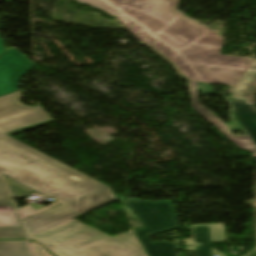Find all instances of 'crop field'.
I'll return each mask as SVG.
<instances>
[{"mask_svg":"<svg viewBox=\"0 0 256 256\" xmlns=\"http://www.w3.org/2000/svg\"><path fill=\"white\" fill-rule=\"evenodd\" d=\"M30 243L34 249L36 256H51L43 247L39 246L32 240H30Z\"/></svg>","mask_w":256,"mask_h":256,"instance_id":"crop-field-13","label":"crop field"},{"mask_svg":"<svg viewBox=\"0 0 256 256\" xmlns=\"http://www.w3.org/2000/svg\"><path fill=\"white\" fill-rule=\"evenodd\" d=\"M0 97V172L60 205L21 221L28 236L116 201L110 187L93 180L8 135L53 122L40 107Z\"/></svg>","mask_w":256,"mask_h":256,"instance_id":"crop-field-1","label":"crop field"},{"mask_svg":"<svg viewBox=\"0 0 256 256\" xmlns=\"http://www.w3.org/2000/svg\"><path fill=\"white\" fill-rule=\"evenodd\" d=\"M255 76L256 59L252 61L238 86L230 89L232 95L225 97L226 101L230 105V118L233 121L230 124L223 123L219 118L198 102L197 96L199 95L197 91H201L203 94L212 92L208 84L188 82L193 109L233 141L237 146L252 153H256V148L248 135L235 137L229 131L246 128L256 143V108L254 105H246L241 97L250 87ZM231 115H233V117H231Z\"/></svg>","mask_w":256,"mask_h":256,"instance_id":"crop-field-5","label":"crop field"},{"mask_svg":"<svg viewBox=\"0 0 256 256\" xmlns=\"http://www.w3.org/2000/svg\"><path fill=\"white\" fill-rule=\"evenodd\" d=\"M145 228L135 230L149 256H177L179 248L171 242L152 243L148 236L179 228L169 201L147 202L136 198L123 201ZM226 241L224 224L192 225V239H184L186 250L197 256H224L211 248V242Z\"/></svg>","mask_w":256,"mask_h":256,"instance_id":"crop-field-3","label":"crop field"},{"mask_svg":"<svg viewBox=\"0 0 256 256\" xmlns=\"http://www.w3.org/2000/svg\"><path fill=\"white\" fill-rule=\"evenodd\" d=\"M81 1V0H80ZM84 1V0H83Z\"/></svg>","mask_w":256,"mask_h":256,"instance_id":"crop-field-15","label":"crop field"},{"mask_svg":"<svg viewBox=\"0 0 256 256\" xmlns=\"http://www.w3.org/2000/svg\"><path fill=\"white\" fill-rule=\"evenodd\" d=\"M56 204H58V203L56 202V203H54V204H52V205H50V206H48V207H46V208H43V209H41V210H38V211L34 210V209H33L32 207H30V206L25 207V208H22V209H19L18 211H19L20 219H23V218L28 217V216H30V215H33V214H35V213L41 212V211H43V210H46V209H48V208H50V207H52V206H54V205H56ZM30 217H31V216H30Z\"/></svg>","mask_w":256,"mask_h":256,"instance_id":"crop-field-12","label":"crop field"},{"mask_svg":"<svg viewBox=\"0 0 256 256\" xmlns=\"http://www.w3.org/2000/svg\"><path fill=\"white\" fill-rule=\"evenodd\" d=\"M0 256H33L26 240L0 241Z\"/></svg>","mask_w":256,"mask_h":256,"instance_id":"crop-field-7","label":"crop field"},{"mask_svg":"<svg viewBox=\"0 0 256 256\" xmlns=\"http://www.w3.org/2000/svg\"><path fill=\"white\" fill-rule=\"evenodd\" d=\"M113 12L190 81L234 86L252 59L219 55L223 38L176 12L178 0H86Z\"/></svg>","mask_w":256,"mask_h":256,"instance_id":"crop-field-2","label":"crop field"},{"mask_svg":"<svg viewBox=\"0 0 256 256\" xmlns=\"http://www.w3.org/2000/svg\"><path fill=\"white\" fill-rule=\"evenodd\" d=\"M0 212H15L14 206L8 196V193L0 179Z\"/></svg>","mask_w":256,"mask_h":256,"instance_id":"crop-field-9","label":"crop field"},{"mask_svg":"<svg viewBox=\"0 0 256 256\" xmlns=\"http://www.w3.org/2000/svg\"><path fill=\"white\" fill-rule=\"evenodd\" d=\"M0 1H2V0H0ZM4 49H5V40L1 39V37H0V55H2L5 52Z\"/></svg>","mask_w":256,"mask_h":256,"instance_id":"crop-field-14","label":"crop field"},{"mask_svg":"<svg viewBox=\"0 0 256 256\" xmlns=\"http://www.w3.org/2000/svg\"><path fill=\"white\" fill-rule=\"evenodd\" d=\"M25 238L20 227H1L0 239Z\"/></svg>","mask_w":256,"mask_h":256,"instance_id":"crop-field-10","label":"crop field"},{"mask_svg":"<svg viewBox=\"0 0 256 256\" xmlns=\"http://www.w3.org/2000/svg\"><path fill=\"white\" fill-rule=\"evenodd\" d=\"M30 238L55 256H145L132 231L109 237L74 219Z\"/></svg>","mask_w":256,"mask_h":256,"instance_id":"crop-field-4","label":"crop field"},{"mask_svg":"<svg viewBox=\"0 0 256 256\" xmlns=\"http://www.w3.org/2000/svg\"><path fill=\"white\" fill-rule=\"evenodd\" d=\"M1 226H20L15 213H0Z\"/></svg>","mask_w":256,"mask_h":256,"instance_id":"crop-field-11","label":"crop field"},{"mask_svg":"<svg viewBox=\"0 0 256 256\" xmlns=\"http://www.w3.org/2000/svg\"><path fill=\"white\" fill-rule=\"evenodd\" d=\"M32 68V62L14 47L0 57V96L18 90V79Z\"/></svg>","mask_w":256,"mask_h":256,"instance_id":"crop-field-6","label":"crop field"},{"mask_svg":"<svg viewBox=\"0 0 256 256\" xmlns=\"http://www.w3.org/2000/svg\"><path fill=\"white\" fill-rule=\"evenodd\" d=\"M3 178H4L13 197L26 196V195H30V194L34 193L33 191L19 185L18 183H16L15 181H13L7 177H3Z\"/></svg>","mask_w":256,"mask_h":256,"instance_id":"crop-field-8","label":"crop field"}]
</instances>
